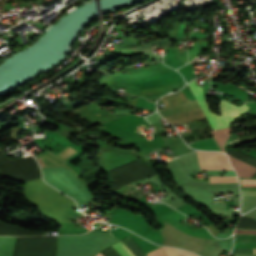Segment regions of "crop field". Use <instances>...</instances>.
Returning <instances> with one entry per match:
<instances>
[{"label": "crop field", "mask_w": 256, "mask_h": 256, "mask_svg": "<svg viewBox=\"0 0 256 256\" xmlns=\"http://www.w3.org/2000/svg\"><path fill=\"white\" fill-rule=\"evenodd\" d=\"M76 150L70 148V147H65L61 152H59L57 154V156L63 158V159H68L69 157H71L73 154H75ZM45 155V154H44ZM43 153L41 155H39L38 157H36V159L38 160L39 164L41 165V167H47V166H62L58 163H56L55 161L51 160L50 158L44 156Z\"/></svg>", "instance_id": "obj_1"}, {"label": "crop field", "mask_w": 256, "mask_h": 256, "mask_svg": "<svg viewBox=\"0 0 256 256\" xmlns=\"http://www.w3.org/2000/svg\"><path fill=\"white\" fill-rule=\"evenodd\" d=\"M117 252L121 255V256H133L125 247L121 242H118L114 245H112ZM96 256H104L101 252L99 254H97ZM147 256H164L162 248H159L149 254H147Z\"/></svg>", "instance_id": "obj_2"}, {"label": "crop field", "mask_w": 256, "mask_h": 256, "mask_svg": "<svg viewBox=\"0 0 256 256\" xmlns=\"http://www.w3.org/2000/svg\"><path fill=\"white\" fill-rule=\"evenodd\" d=\"M164 248H165L167 256H196L194 254L184 252V251H181V250L166 248V247H164ZM165 251H164V253H165ZM166 254H165V256H166Z\"/></svg>", "instance_id": "obj_3"}]
</instances>
